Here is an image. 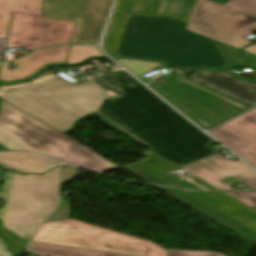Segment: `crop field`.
I'll return each instance as SVG.
<instances>
[{
  "label": "crop field",
  "instance_id": "crop-field-37",
  "mask_svg": "<svg viewBox=\"0 0 256 256\" xmlns=\"http://www.w3.org/2000/svg\"><path fill=\"white\" fill-rule=\"evenodd\" d=\"M212 1H215V2H218L220 4H223V3L227 2L228 0H212Z\"/></svg>",
  "mask_w": 256,
  "mask_h": 256
},
{
  "label": "crop field",
  "instance_id": "crop-field-19",
  "mask_svg": "<svg viewBox=\"0 0 256 256\" xmlns=\"http://www.w3.org/2000/svg\"><path fill=\"white\" fill-rule=\"evenodd\" d=\"M103 56L96 45L71 46L65 65L79 64L87 58Z\"/></svg>",
  "mask_w": 256,
  "mask_h": 256
},
{
  "label": "crop field",
  "instance_id": "crop-field-2",
  "mask_svg": "<svg viewBox=\"0 0 256 256\" xmlns=\"http://www.w3.org/2000/svg\"><path fill=\"white\" fill-rule=\"evenodd\" d=\"M186 26L169 18L130 16L116 56L188 68L229 67L211 39Z\"/></svg>",
  "mask_w": 256,
  "mask_h": 256
},
{
  "label": "crop field",
  "instance_id": "crop-field-31",
  "mask_svg": "<svg viewBox=\"0 0 256 256\" xmlns=\"http://www.w3.org/2000/svg\"><path fill=\"white\" fill-rule=\"evenodd\" d=\"M52 65H64V63H49V64H46V65L41 66V67H40L38 70H36L32 75H30V76H28V77H26V78L14 80V81H3V80H0V82H3V83H14V82L26 80V79H28V78H31V77H33V76L38 75L46 66H52Z\"/></svg>",
  "mask_w": 256,
  "mask_h": 256
},
{
  "label": "crop field",
  "instance_id": "crop-field-33",
  "mask_svg": "<svg viewBox=\"0 0 256 256\" xmlns=\"http://www.w3.org/2000/svg\"><path fill=\"white\" fill-rule=\"evenodd\" d=\"M192 182H194V183H196V184H198V185H200V186H202V187H204L208 190H216L217 189V188L211 186L210 184H208L204 181H192Z\"/></svg>",
  "mask_w": 256,
  "mask_h": 256
},
{
  "label": "crop field",
  "instance_id": "crop-field-25",
  "mask_svg": "<svg viewBox=\"0 0 256 256\" xmlns=\"http://www.w3.org/2000/svg\"><path fill=\"white\" fill-rule=\"evenodd\" d=\"M11 176H12V173L10 172L4 173L5 183L0 187V198L6 201L4 207L0 209V220L2 221V224H1L2 226H3L5 211H6L8 195L10 191Z\"/></svg>",
  "mask_w": 256,
  "mask_h": 256
},
{
  "label": "crop field",
  "instance_id": "crop-field-13",
  "mask_svg": "<svg viewBox=\"0 0 256 256\" xmlns=\"http://www.w3.org/2000/svg\"><path fill=\"white\" fill-rule=\"evenodd\" d=\"M209 133L256 169V108Z\"/></svg>",
  "mask_w": 256,
  "mask_h": 256
},
{
  "label": "crop field",
  "instance_id": "crop-field-40",
  "mask_svg": "<svg viewBox=\"0 0 256 256\" xmlns=\"http://www.w3.org/2000/svg\"><path fill=\"white\" fill-rule=\"evenodd\" d=\"M253 33V32H252ZM251 34V33H250ZM249 35V34H248Z\"/></svg>",
  "mask_w": 256,
  "mask_h": 256
},
{
  "label": "crop field",
  "instance_id": "crop-field-10",
  "mask_svg": "<svg viewBox=\"0 0 256 256\" xmlns=\"http://www.w3.org/2000/svg\"><path fill=\"white\" fill-rule=\"evenodd\" d=\"M112 0H43L42 16L77 21L71 43H98Z\"/></svg>",
  "mask_w": 256,
  "mask_h": 256
},
{
  "label": "crop field",
  "instance_id": "crop-field-35",
  "mask_svg": "<svg viewBox=\"0 0 256 256\" xmlns=\"http://www.w3.org/2000/svg\"><path fill=\"white\" fill-rule=\"evenodd\" d=\"M6 39H0V61L2 59L3 47Z\"/></svg>",
  "mask_w": 256,
  "mask_h": 256
},
{
  "label": "crop field",
  "instance_id": "crop-field-23",
  "mask_svg": "<svg viewBox=\"0 0 256 256\" xmlns=\"http://www.w3.org/2000/svg\"><path fill=\"white\" fill-rule=\"evenodd\" d=\"M230 67H238L242 60L238 56V49L213 40Z\"/></svg>",
  "mask_w": 256,
  "mask_h": 256
},
{
  "label": "crop field",
  "instance_id": "crop-field-20",
  "mask_svg": "<svg viewBox=\"0 0 256 256\" xmlns=\"http://www.w3.org/2000/svg\"><path fill=\"white\" fill-rule=\"evenodd\" d=\"M196 0H173L168 17L188 23Z\"/></svg>",
  "mask_w": 256,
  "mask_h": 256
},
{
  "label": "crop field",
  "instance_id": "crop-field-27",
  "mask_svg": "<svg viewBox=\"0 0 256 256\" xmlns=\"http://www.w3.org/2000/svg\"><path fill=\"white\" fill-rule=\"evenodd\" d=\"M166 256H224L212 252L166 250Z\"/></svg>",
  "mask_w": 256,
  "mask_h": 256
},
{
  "label": "crop field",
  "instance_id": "crop-field-7",
  "mask_svg": "<svg viewBox=\"0 0 256 256\" xmlns=\"http://www.w3.org/2000/svg\"><path fill=\"white\" fill-rule=\"evenodd\" d=\"M56 202L57 168L45 175L13 173L4 227L29 240L35 226Z\"/></svg>",
  "mask_w": 256,
  "mask_h": 256
},
{
  "label": "crop field",
  "instance_id": "crop-field-26",
  "mask_svg": "<svg viewBox=\"0 0 256 256\" xmlns=\"http://www.w3.org/2000/svg\"><path fill=\"white\" fill-rule=\"evenodd\" d=\"M256 210V192H225Z\"/></svg>",
  "mask_w": 256,
  "mask_h": 256
},
{
  "label": "crop field",
  "instance_id": "crop-field-30",
  "mask_svg": "<svg viewBox=\"0 0 256 256\" xmlns=\"http://www.w3.org/2000/svg\"><path fill=\"white\" fill-rule=\"evenodd\" d=\"M242 56H243V58H245L247 60L245 66L256 70V55H253L251 53H248V52H245L242 50ZM242 68H244V67H242Z\"/></svg>",
  "mask_w": 256,
  "mask_h": 256
},
{
  "label": "crop field",
  "instance_id": "crop-field-1",
  "mask_svg": "<svg viewBox=\"0 0 256 256\" xmlns=\"http://www.w3.org/2000/svg\"><path fill=\"white\" fill-rule=\"evenodd\" d=\"M71 85L54 78L0 96L50 127L66 134L91 114L100 122L182 167L214 154L217 144L124 71Z\"/></svg>",
  "mask_w": 256,
  "mask_h": 256
},
{
  "label": "crop field",
  "instance_id": "crop-field-24",
  "mask_svg": "<svg viewBox=\"0 0 256 256\" xmlns=\"http://www.w3.org/2000/svg\"><path fill=\"white\" fill-rule=\"evenodd\" d=\"M224 5L256 16V0H230Z\"/></svg>",
  "mask_w": 256,
  "mask_h": 256
},
{
  "label": "crop field",
  "instance_id": "crop-field-8",
  "mask_svg": "<svg viewBox=\"0 0 256 256\" xmlns=\"http://www.w3.org/2000/svg\"><path fill=\"white\" fill-rule=\"evenodd\" d=\"M158 189L256 244V211L229 195Z\"/></svg>",
  "mask_w": 256,
  "mask_h": 256
},
{
  "label": "crop field",
  "instance_id": "crop-field-18",
  "mask_svg": "<svg viewBox=\"0 0 256 256\" xmlns=\"http://www.w3.org/2000/svg\"><path fill=\"white\" fill-rule=\"evenodd\" d=\"M27 248L33 253L46 256H135L34 242H30Z\"/></svg>",
  "mask_w": 256,
  "mask_h": 256
},
{
  "label": "crop field",
  "instance_id": "crop-field-34",
  "mask_svg": "<svg viewBox=\"0 0 256 256\" xmlns=\"http://www.w3.org/2000/svg\"><path fill=\"white\" fill-rule=\"evenodd\" d=\"M243 50L251 52L253 54H256V44L255 45H251V46H249L247 48H244Z\"/></svg>",
  "mask_w": 256,
  "mask_h": 256
},
{
  "label": "crop field",
  "instance_id": "crop-field-39",
  "mask_svg": "<svg viewBox=\"0 0 256 256\" xmlns=\"http://www.w3.org/2000/svg\"><path fill=\"white\" fill-rule=\"evenodd\" d=\"M1 102H2V99H0V104H1Z\"/></svg>",
  "mask_w": 256,
  "mask_h": 256
},
{
  "label": "crop field",
  "instance_id": "crop-field-32",
  "mask_svg": "<svg viewBox=\"0 0 256 256\" xmlns=\"http://www.w3.org/2000/svg\"><path fill=\"white\" fill-rule=\"evenodd\" d=\"M0 256H13V254L8 251L3 239L1 238H0Z\"/></svg>",
  "mask_w": 256,
  "mask_h": 256
},
{
  "label": "crop field",
  "instance_id": "crop-field-21",
  "mask_svg": "<svg viewBox=\"0 0 256 256\" xmlns=\"http://www.w3.org/2000/svg\"><path fill=\"white\" fill-rule=\"evenodd\" d=\"M120 64H122L125 68L135 74L138 78H140L145 83L148 82V79L141 77L140 75L147 73L149 71L154 70L153 68L164 67L158 62H150V61H139V60H127V59H118L115 58Z\"/></svg>",
  "mask_w": 256,
  "mask_h": 256
},
{
  "label": "crop field",
  "instance_id": "crop-field-29",
  "mask_svg": "<svg viewBox=\"0 0 256 256\" xmlns=\"http://www.w3.org/2000/svg\"><path fill=\"white\" fill-rule=\"evenodd\" d=\"M68 208H69V206H59V208L45 221L67 218L68 217Z\"/></svg>",
  "mask_w": 256,
  "mask_h": 256
},
{
  "label": "crop field",
  "instance_id": "crop-field-14",
  "mask_svg": "<svg viewBox=\"0 0 256 256\" xmlns=\"http://www.w3.org/2000/svg\"><path fill=\"white\" fill-rule=\"evenodd\" d=\"M144 156L149 159L122 168L135 174L148 183L203 190V188L189 181H179L167 174L179 168L178 166L152 152L144 153Z\"/></svg>",
  "mask_w": 256,
  "mask_h": 256
},
{
  "label": "crop field",
  "instance_id": "crop-field-36",
  "mask_svg": "<svg viewBox=\"0 0 256 256\" xmlns=\"http://www.w3.org/2000/svg\"><path fill=\"white\" fill-rule=\"evenodd\" d=\"M220 72H223V73H226V74H230V75H233V76H236V77H239V78H242V79H244V80H247V79H245V78H243V77H240V76H237V75H234V74H231V73H228V72H225V71H222V70H220ZM241 79V80H242ZM248 81V80H247ZM250 82V81H249ZM252 83H255L256 84V82H252Z\"/></svg>",
  "mask_w": 256,
  "mask_h": 256
},
{
  "label": "crop field",
  "instance_id": "crop-field-16",
  "mask_svg": "<svg viewBox=\"0 0 256 256\" xmlns=\"http://www.w3.org/2000/svg\"><path fill=\"white\" fill-rule=\"evenodd\" d=\"M69 46L43 49L29 56L14 61L16 69L8 70V62L2 63L0 79L13 80L26 77L38 69L41 65L49 62H65Z\"/></svg>",
  "mask_w": 256,
  "mask_h": 256
},
{
  "label": "crop field",
  "instance_id": "crop-field-4",
  "mask_svg": "<svg viewBox=\"0 0 256 256\" xmlns=\"http://www.w3.org/2000/svg\"><path fill=\"white\" fill-rule=\"evenodd\" d=\"M42 0H0L4 48L27 50L69 44L76 22L41 17Z\"/></svg>",
  "mask_w": 256,
  "mask_h": 256
},
{
  "label": "crop field",
  "instance_id": "crop-field-12",
  "mask_svg": "<svg viewBox=\"0 0 256 256\" xmlns=\"http://www.w3.org/2000/svg\"><path fill=\"white\" fill-rule=\"evenodd\" d=\"M182 168L219 189H232L219 181L229 175L256 189V173L252 169L219 153Z\"/></svg>",
  "mask_w": 256,
  "mask_h": 256
},
{
  "label": "crop field",
  "instance_id": "crop-field-6",
  "mask_svg": "<svg viewBox=\"0 0 256 256\" xmlns=\"http://www.w3.org/2000/svg\"><path fill=\"white\" fill-rule=\"evenodd\" d=\"M149 86L203 130L250 108V105L247 106L179 75L162 84L154 82Z\"/></svg>",
  "mask_w": 256,
  "mask_h": 256
},
{
  "label": "crop field",
  "instance_id": "crop-field-9",
  "mask_svg": "<svg viewBox=\"0 0 256 256\" xmlns=\"http://www.w3.org/2000/svg\"><path fill=\"white\" fill-rule=\"evenodd\" d=\"M187 29L240 49L250 43L242 37L256 30V18L197 0Z\"/></svg>",
  "mask_w": 256,
  "mask_h": 256
},
{
  "label": "crop field",
  "instance_id": "crop-field-15",
  "mask_svg": "<svg viewBox=\"0 0 256 256\" xmlns=\"http://www.w3.org/2000/svg\"><path fill=\"white\" fill-rule=\"evenodd\" d=\"M189 78L252 106L256 103V85L218 71H196Z\"/></svg>",
  "mask_w": 256,
  "mask_h": 256
},
{
  "label": "crop field",
  "instance_id": "crop-field-22",
  "mask_svg": "<svg viewBox=\"0 0 256 256\" xmlns=\"http://www.w3.org/2000/svg\"><path fill=\"white\" fill-rule=\"evenodd\" d=\"M0 235L5 237L11 247L12 252L20 253L23 252L24 247L27 242L26 239L20 237L19 235L11 232L10 230L0 226Z\"/></svg>",
  "mask_w": 256,
  "mask_h": 256
},
{
  "label": "crop field",
  "instance_id": "crop-field-11",
  "mask_svg": "<svg viewBox=\"0 0 256 256\" xmlns=\"http://www.w3.org/2000/svg\"><path fill=\"white\" fill-rule=\"evenodd\" d=\"M172 0H117L103 40L104 50L115 56L129 15L166 17Z\"/></svg>",
  "mask_w": 256,
  "mask_h": 256
},
{
  "label": "crop field",
  "instance_id": "crop-field-5",
  "mask_svg": "<svg viewBox=\"0 0 256 256\" xmlns=\"http://www.w3.org/2000/svg\"><path fill=\"white\" fill-rule=\"evenodd\" d=\"M32 241L143 256H165V250L150 241L69 219L42 223Z\"/></svg>",
  "mask_w": 256,
  "mask_h": 256
},
{
  "label": "crop field",
  "instance_id": "crop-field-3",
  "mask_svg": "<svg viewBox=\"0 0 256 256\" xmlns=\"http://www.w3.org/2000/svg\"><path fill=\"white\" fill-rule=\"evenodd\" d=\"M0 142L9 149L27 150L100 173L118 168L5 101L0 112Z\"/></svg>",
  "mask_w": 256,
  "mask_h": 256
},
{
  "label": "crop field",
  "instance_id": "crop-field-17",
  "mask_svg": "<svg viewBox=\"0 0 256 256\" xmlns=\"http://www.w3.org/2000/svg\"><path fill=\"white\" fill-rule=\"evenodd\" d=\"M0 165L24 173H42L58 163L24 152H1Z\"/></svg>",
  "mask_w": 256,
  "mask_h": 256
},
{
  "label": "crop field",
  "instance_id": "crop-field-38",
  "mask_svg": "<svg viewBox=\"0 0 256 256\" xmlns=\"http://www.w3.org/2000/svg\"><path fill=\"white\" fill-rule=\"evenodd\" d=\"M4 149H7V148L0 143V150H4Z\"/></svg>",
  "mask_w": 256,
  "mask_h": 256
},
{
  "label": "crop field",
  "instance_id": "crop-field-28",
  "mask_svg": "<svg viewBox=\"0 0 256 256\" xmlns=\"http://www.w3.org/2000/svg\"><path fill=\"white\" fill-rule=\"evenodd\" d=\"M77 176H78V173H77L76 168H72V167H68V166L61 167L60 184L67 182L70 179L77 177Z\"/></svg>",
  "mask_w": 256,
  "mask_h": 256
}]
</instances>
